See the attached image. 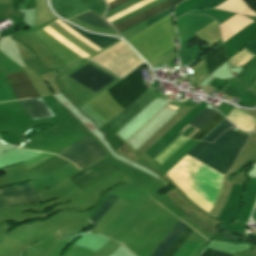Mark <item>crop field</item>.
<instances>
[{
	"mask_svg": "<svg viewBox=\"0 0 256 256\" xmlns=\"http://www.w3.org/2000/svg\"><path fill=\"white\" fill-rule=\"evenodd\" d=\"M209 73L225 62L223 46L204 58ZM223 65V64H222Z\"/></svg>",
	"mask_w": 256,
	"mask_h": 256,
	"instance_id": "crop-field-11",
	"label": "crop field"
},
{
	"mask_svg": "<svg viewBox=\"0 0 256 256\" xmlns=\"http://www.w3.org/2000/svg\"><path fill=\"white\" fill-rule=\"evenodd\" d=\"M116 199H117L116 197L110 196L106 200V202L89 219L91 221V223L95 225L97 223V221L103 216V214L109 209V207L115 202Z\"/></svg>",
	"mask_w": 256,
	"mask_h": 256,
	"instance_id": "crop-field-17",
	"label": "crop field"
},
{
	"mask_svg": "<svg viewBox=\"0 0 256 256\" xmlns=\"http://www.w3.org/2000/svg\"><path fill=\"white\" fill-rule=\"evenodd\" d=\"M185 223L182 221H178V223L173 227V229L168 233L165 239L160 243V245L154 250L151 256H163L165 252L169 249V247L173 244V242L178 238V236L182 233V231L187 227ZM193 230L188 226L183 233L179 236V238L174 242V244L170 247V249L166 252L164 256H172L178 248L182 245L185 239L190 235Z\"/></svg>",
	"mask_w": 256,
	"mask_h": 256,
	"instance_id": "crop-field-6",
	"label": "crop field"
},
{
	"mask_svg": "<svg viewBox=\"0 0 256 256\" xmlns=\"http://www.w3.org/2000/svg\"><path fill=\"white\" fill-rule=\"evenodd\" d=\"M117 171L118 169L105 158L68 179L82 190Z\"/></svg>",
	"mask_w": 256,
	"mask_h": 256,
	"instance_id": "crop-field-4",
	"label": "crop field"
},
{
	"mask_svg": "<svg viewBox=\"0 0 256 256\" xmlns=\"http://www.w3.org/2000/svg\"><path fill=\"white\" fill-rule=\"evenodd\" d=\"M58 155L70 160L80 169L106 156L89 135L60 152Z\"/></svg>",
	"mask_w": 256,
	"mask_h": 256,
	"instance_id": "crop-field-3",
	"label": "crop field"
},
{
	"mask_svg": "<svg viewBox=\"0 0 256 256\" xmlns=\"http://www.w3.org/2000/svg\"><path fill=\"white\" fill-rule=\"evenodd\" d=\"M82 21H85L87 23H90L95 26H100V27H106V28H112V26L108 25L104 21H102L100 18H98L95 14H93L91 11L84 13L82 15L77 16Z\"/></svg>",
	"mask_w": 256,
	"mask_h": 256,
	"instance_id": "crop-field-16",
	"label": "crop field"
},
{
	"mask_svg": "<svg viewBox=\"0 0 256 256\" xmlns=\"http://www.w3.org/2000/svg\"><path fill=\"white\" fill-rule=\"evenodd\" d=\"M223 119H224V117L218 113L207 124H205L192 138L201 140Z\"/></svg>",
	"mask_w": 256,
	"mask_h": 256,
	"instance_id": "crop-field-14",
	"label": "crop field"
},
{
	"mask_svg": "<svg viewBox=\"0 0 256 256\" xmlns=\"http://www.w3.org/2000/svg\"><path fill=\"white\" fill-rule=\"evenodd\" d=\"M52 156H54V155L53 154L41 153V154L35 156L34 158H32V159H30V160H28V161H26V162H24L22 164H24V165H26L27 167L30 168V167H32V166H34V165H36V164H38V163H40V162L50 158Z\"/></svg>",
	"mask_w": 256,
	"mask_h": 256,
	"instance_id": "crop-field-19",
	"label": "crop field"
},
{
	"mask_svg": "<svg viewBox=\"0 0 256 256\" xmlns=\"http://www.w3.org/2000/svg\"><path fill=\"white\" fill-rule=\"evenodd\" d=\"M216 114L217 113L211 111L206 107L191 123H189V125L197 129H200L206 122H208Z\"/></svg>",
	"mask_w": 256,
	"mask_h": 256,
	"instance_id": "crop-field-15",
	"label": "crop field"
},
{
	"mask_svg": "<svg viewBox=\"0 0 256 256\" xmlns=\"http://www.w3.org/2000/svg\"><path fill=\"white\" fill-rule=\"evenodd\" d=\"M231 124L228 121L221 122L207 137L203 140L208 142H213V140L218 137L225 130L230 128Z\"/></svg>",
	"mask_w": 256,
	"mask_h": 256,
	"instance_id": "crop-field-18",
	"label": "crop field"
},
{
	"mask_svg": "<svg viewBox=\"0 0 256 256\" xmlns=\"http://www.w3.org/2000/svg\"><path fill=\"white\" fill-rule=\"evenodd\" d=\"M36 203H42V200L38 192L1 198L0 209L15 206V205L36 204Z\"/></svg>",
	"mask_w": 256,
	"mask_h": 256,
	"instance_id": "crop-field-10",
	"label": "crop field"
},
{
	"mask_svg": "<svg viewBox=\"0 0 256 256\" xmlns=\"http://www.w3.org/2000/svg\"><path fill=\"white\" fill-rule=\"evenodd\" d=\"M148 66L143 64L133 73L108 89L114 99L125 109L129 107L149 87L142 78L141 70Z\"/></svg>",
	"mask_w": 256,
	"mask_h": 256,
	"instance_id": "crop-field-2",
	"label": "crop field"
},
{
	"mask_svg": "<svg viewBox=\"0 0 256 256\" xmlns=\"http://www.w3.org/2000/svg\"><path fill=\"white\" fill-rule=\"evenodd\" d=\"M34 192L31 183H26L20 186L10 187L6 189H0V198L11 195H19Z\"/></svg>",
	"mask_w": 256,
	"mask_h": 256,
	"instance_id": "crop-field-13",
	"label": "crop field"
},
{
	"mask_svg": "<svg viewBox=\"0 0 256 256\" xmlns=\"http://www.w3.org/2000/svg\"><path fill=\"white\" fill-rule=\"evenodd\" d=\"M65 24H67V23H65ZM67 25L70 26L71 28H73L74 30H76L77 32L81 33L82 35H84L85 37H87L88 39H90L91 41H93L94 43H96L97 45H99L102 48H104V47L108 46L109 44H111V43H113V42L118 40L116 38H111V37H105V36H99V35L91 34V33L85 32L83 30H80V29H78V28H76V27H74V26H72L70 24H67Z\"/></svg>",
	"mask_w": 256,
	"mask_h": 256,
	"instance_id": "crop-field-12",
	"label": "crop field"
},
{
	"mask_svg": "<svg viewBox=\"0 0 256 256\" xmlns=\"http://www.w3.org/2000/svg\"><path fill=\"white\" fill-rule=\"evenodd\" d=\"M17 100L39 96L31 85L25 71L5 76Z\"/></svg>",
	"mask_w": 256,
	"mask_h": 256,
	"instance_id": "crop-field-8",
	"label": "crop field"
},
{
	"mask_svg": "<svg viewBox=\"0 0 256 256\" xmlns=\"http://www.w3.org/2000/svg\"><path fill=\"white\" fill-rule=\"evenodd\" d=\"M67 77L94 93L115 80L89 64Z\"/></svg>",
	"mask_w": 256,
	"mask_h": 256,
	"instance_id": "crop-field-5",
	"label": "crop field"
},
{
	"mask_svg": "<svg viewBox=\"0 0 256 256\" xmlns=\"http://www.w3.org/2000/svg\"><path fill=\"white\" fill-rule=\"evenodd\" d=\"M247 139V136L229 129L212 144L201 141L187 155L225 174L234 163L240 148Z\"/></svg>",
	"mask_w": 256,
	"mask_h": 256,
	"instance_id": "crop-field-1",
	"label": "crop field"
},
{
	"mask_svg": "<svg viewBox=\"0 0 256 256\" xmlns=\"http://www.w3.org/2000/svg\"><path fill=\"white\" fill-rule=\"evenodd\" d=\"M245 47L253 58L256 55V37L251 42H249Z\"/></svg>",
	"mask_w": 256,
	"mask_h": 256,
	"instance_id": "crop-field-20",
	"label": "crop field"
},
{
	"mask_svg": "<svg viewBox=\"0 0 256 256\" xmlns=\"http://www.w3.org/2000/svg\"><path fill=\"white\" fill-rule=\"evenodd\" d=\"M19 102L28 112V114L32 117L33 120L54 116L41 98L32 100H22Z\"/></svg>",
	"mask_w": 256,
	"mask_h": 256,
	"instance_id": "crop-field-9",
	"label": "crop field"
},
{
	"mask_svg": "<svg viewBox=\"0 0 256 256\" xmlns=\"http://www.w3.org/2000/svg\"><path fill=\"white\" fill-rule=\"evenodd\" d=\"M167 108H171V109H174V110L177 109V107H174V106H171V105L167 106Z\"/></svg>",
	"mask_w": 256,
	"mask_h": 256,
	"instance_id": "crop-field-22",
	"label": "crop field"
},
{
	"mask_svg": "<svg viewBox=\"0 0 256 256\" xmlns=\"http://www.w3.org/2000/svg\"><path fill=\"white\" fill-rule=\"evenodd\" d=\"M213 253V250L207 249L204 251L203 254H201L200 256H211V254ZM213 256H231V255H227V254H223L220 252H214Z\"/></svg>",
	"mask_w": 256,
	"mask_h": 256,
	"instance_id": "crop-field-21",
	"label": "crop field"
},
{
	"mask_svg": "<svg viewBox=\"0 0 256 256\" xmlns=\"http://www.w3.org/2000/svg\"><path fill=\"white\" fill-rule=\"evenodd\" d=\"M126 1H128V0H115L111 3H109V9L108 10H110V9H112V8L118 6V5H120V4H122ZM180 1H182V0H165V1L153 6L151 8H149V9H147V10H145V11H143V12H141V13H139V14H137V15H135V16L119 23V24H117V25H115L114 27L118 31L122 32V31H124V30H126V29H128V28H130V27H132V26H134V25H136V24H138V23H140V22H142V21H144V20H146V19H148V18H150V17H152V16H154V15L172 7V6H174L175 4H177Z\"/></svg>",
	"mask_w": 256,
	"mask_h": 256,
	"instance_id": "crop-field-7",
	"label": "crop field"
}]
</instances>
